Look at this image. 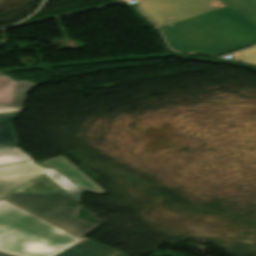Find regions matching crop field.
Returning <instances> with one entry per match:
<instances>
[{
    "label": "crop field",
    "instance_id": "8a807250",
    "mask_svg": "<svg viewBox=\"0 0 256 256\" xmlns=\"http://www.w3.org/2000/svg\"><path fill=\"white\" fill-rule=\"evenodd\" d=\"M137 1L177 50L220 55L256 43V0Z\"/></svg>",
    "mask_w": 256,
    "mask_h": 256
},
{
    "label": "crop field",
    "instance_id": "dd49c442",
    "mask_svg": "<svg viewBox=\"0 0 256 256\" xmlns=\"http://www.w3.org/2000/svg\"><path fill=\"white\" fill-rule=\"evenodd\" d=\"M233 59L256 64V47L232 54Z\"/></svg>",
    "mask_w": 256,
    "mask_h": 256
},
{
    "label": "crop field",
    "instance_id": "412701ff",
    "mask_svg": "<svg viewBox=\"0 0 256 256\" xmlns=\"http://www.w3.org/2000/svg\"><path fill=\"white\" fill-rule=\"evenodd\" d=\"M4 199L79 237L98 226L76 217L83 206L44 175Z\"/></svg>",
    "mask_w": 256,
    "mask_h": 256
},
{
    "label": "crop field",
    "instance_id": "34b2d1b8",
    "mask_svg": "<svg viewBox=\"0 0 256 256\" xmlns=\"http://www.w3.org/2000/svg\"><path fill=\"white\" fill-rule=\"evenodd\" d=\"M45 163L55 167L84 190L91 193L103 192L64 157L49 159ZM44 173L80 202L84 193L81 188L55 169L35 162L17 146L0 149V199Z\"/></svg>",
    "mask_w": 256,
    "mask_h": 256
},
{
    "label": "crop field",
    "instance_id": "ac0d7876",
    "mask_svg": "<svg viewBox=\"0 0 256 256\" xmlns=\"http://www.w3.org/2000/svg\"><path fill=\"white\" fill-rule=\"evenodd\" d=\"M0 251L15 256H128L79 239L4 200L0 201Z\"/></svg>",
    "mask_w": 256,
    "mask_h": 256
},
{
    "label": "crop field",
    "instance_id": "f4fd0767",
    "mask_svg": "<svg viewBox=\"0 0 256 256\" xmlns=\"http://www.w3.org/2000/svg\"><path fill=\"white\" fill-rule=\"evenodd\" d=\"M36 84L0 76V148L20 144L11 120L20 116L26 94Z\"/></svg>",
    "mask_w": 256,
    "mask_h": 256
},
{
    "label": "crop field",
    "instance_id": "e52e79f7",
    "mask_svg": "<svg viewBox=\"0 0 256 256\" xmlns=\"http://www.w3.org/2000/svg\"><path fill=\"white\" fill-rule=\"evenodd\" d=\"M0 256H6V255L0 254Z\"/></svg>",
    "mask_w": 256,
    "mask_h": 256
}]
</instances>
